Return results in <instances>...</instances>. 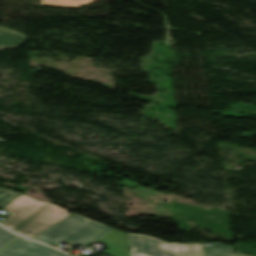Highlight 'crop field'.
Instances as JSON below:
<instances>
[{
  "label": "crop field",
  "mask_w": 256,
  "mask_h": 256,
  "mask_svg": "<svg viewBox=\"0 0 256 256\" xmlns=\"http://www.w3.org/2000/svg\"><path fill=\"white\" fill-rule=\"evenodd\" d=\"M20 193L0 187V208L11 200L17 198Z\"/></svg>",
  "instance_id": "d8731c3e"
},
{
  "label": "crop field",
  "mask_w": 256,
  "mask_h": 256,
  "mask_svg": "<svg viewBox=\"0 0 256 256\" xmlns=\"http://www.w3.org/2000/svg\"><path fill=\"white\" fill-rule=\"evenodd\" d=\"M234 246L220 244V247H208L206 252L208 256H236L233 252Z\"/></svg>",
  "instance_id": "e52e79f7"
},
{
  "label": "crop field",
  "mask_w": 256,
  "mask_h": 256,
  "mask_svg": "<svg viewBox=\"0 0 256 256\" xmlns=\"http://www.w3.org/2000/svg\"><path fill=\"white\" fill-rule=\"evenodd\" d=\"M1 142H5V140L0 139Z\"/></svg>",
  "instance_id": "d1516ede"
},
{
  "label": "crop field",
  "mask_w": 256,
  "mask_h": 256,
  "mask_svg": "<svg viewBox=\"0 0 256 256\" xmlns=\"http://www.w3.org/2000/svg\"><path fill=\"white\" fill-rule=\"evenodd\" d=\"M17 238H18V236L14 235L0 227V249H2L7 244L13 242Z\"/></svg>",
  "instance_id": "5a996713"
},
{
  "label": "crop field",
  "mask_w": 256,
  "mask_h": 256,
  "mask_svg": "<svg viewBox=\"0 0 256 256\" xmlns=\"http://www.w3.org/2000/svg\"><path fill=\"white\" fill-rule=\"evenodd\" d=\"M130 256H186L184 244H171L142 234H129Z\"/></svg>",
  "instance_id": "34b2d1b8"
},
{
  "label": "crop field",
  "mask_w": 256,
  "mask_h": 256,
  "mask_svg": "<svg viewBox=\"0 0 256 256\" xmlns=\"http://www.w3.org/2000/svg\"><path fill=\"white\" fill-rule=\"evenodd\" d=\"M187 256H205L202 244H186Z\"/></svg>",
  "instance_id": "3316defc"
},
{
  "label": "crop field",
  "mask_w": 256,
  "mask_h": 256,
  "mask_svg": "<svg viewBox=\"0 0 256 256\" xmlns=\"http://www.w3.org/2000/svg\"><path fill=\"white\" fill-rule=\"evenodd\" d=\"M27 37L21 33L0 27V50L19 48Z\"/></svg>",
  "instance_id": "f4fd0767"
},
{
  "label": "crop field",
  "mask_w": 256,
  "mask_h": 256,
  "mask_svg": "<svg viewBox=\"0 0 256 256\" xmlns=\"http://www.w3.org/2000/svg\"><path fill=\"white\" fill-rule=\"evenodd\" d=\"M94 0H44L40 5L79 7L91 3Z\"/></svg>",
  "instance_id": "dd49c442"
},
{
  "label": "crop field",
  "mask_w": 256,
  "mask_h": 256,
  "mask_svg": "<svg viewBox=\"0 0 256 256\" xmlns=\"http://www.w3.org/2000/svg\"><path fill=\"white\" fill-rule=\"evenodd\" d=\"M237 256H248V255L240 254V255H237Z\"/></svg>",
  "instance_id": "28ad6ade"
},
{
  "label": "crop field",
  "mask_w": 256,
  "mask_h": 256,
  "mask_svg": "<svg viewBox=\"0 0 256 256\" xmlns=\"http://www.w3.org/2000/svg\"><path fill=\"white\" fill-rule=\"evenodd\" d=\"M0 256H67L52 248L26 240L18 239L0 252Z\"/></svg>",
  "instance_id": "412701ff"
},
{
  "label": "crop field",
  "mask_w": 256,
  "mask_h": 256,
  "mask_svg": "<svg viewBox=\"0 0 256 256\" xmlns=\"http://www.w3.org/2000/svg\"><path fill=\"white\" fill-rule=\"evenodd\" d=\"M113 230L104 224L71 214L61 220L35 240L56 245L60 241L84 246L91 240H98Z\"/></svg>",
  "instance_id": "ac0d7876"
},
{
  "label": "crop field",
  "mask_w": 256,
  "mask_h": 256,
  "mask_svg": "<svg viewBox=\"0 0 256 256\" xmlns=\"http://www.w3.org/2000/svg\"><path fill=\"white\" fill-rule=\"evenodd\" d=\"M2 208L12 215L0 223L32 239L71 214L54 204L41 202L25 195L19 196Z\"/></svg>",
  "instance_id": "8a807250"
}]
</instances>
